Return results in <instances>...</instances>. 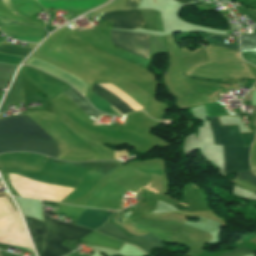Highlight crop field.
<instances>
[{
	"label": "crop field",
	"instance_id": "crop-field-1",
	"mask_svg": "<svg viewBox=\"0 0 256 256\" xmlns=\"http://www.w3.org/2000/svg\"><path fill=\"white\" fill-rule=\"evenodd\" d=\"M0 135L25 136L55 142L43 130L21 114L0 119ZM10 136L0 137V153L32 151L53 157L59 155L58 146L55 143Z\"/></svg>",
	"mask_w": 256,
	"mask_h": 256
},
{
	"label": "crop field",
	"instance_id": "crop-field-2",
	"mask_svg": "<svg viewBox=\"0 0 256 256\" xmlns=\"http://www.w3.org/2000/svg\"><path fill=\"white\" fill-rule=\"evenodd\" d=\"M44 218L45 223L24 217L38 256H63L71 252L59 245L64 238L78 239L93 232L76 225L52 220L45 213Z\"/></svg>",
	"mask_w": 256,
	"mask_h": 256
},
{
	"label": "crop field",
	"instance_id": "crop-field-3",
	"mask_svg": "<svg viewBox=\"0 0 256 256\" xmlns=\"http://www.w3.org/2000/svg\"><path fill=\"white\" fill-rule=\"evenodd\" d=\"M208 118L210 120L213 135H214V143L223 145L225 174L235 172V169H236V172L250 169V164H249L250 146H243L242 139L240 137L237 126H229L233 156H234V162H235V169H234V162H233L228 126H221L216 116H211Z\"/></svg>",
	"mask_w": 256,
	"mask_h": 256
},
{
	"label": "crop field",
	"instance_id": "crop-field-4",
	"mask_svg": "<svg viewBox=\"0 0 256 256\" xmlns=\"http://www.w3.org/2000/svg\"><path fill=\"white\" fill-rule=\"evenodd\" d=\"M0 243L32 248L18 211L5 196L0 197Z\"/></svg>",
	"mask_w": 256,
	"mask_h": 256
},
{
	"label": "crop field",
	"instance_id": "crop-field-5",
	"mask_svg": "<svg viewBox=\"0 0 256 256\" xmlns=\"http://www.w3.org/2000/svg\"><path fill=\"white\" fill-rule=\"evenodd\" d=\"M149 38L150 36L148 35L111 30L112 42L128 52L138 54L147 59L149 55Z\"/></svg>",
	"mask_w": 256,
	"mask_h": 256
},
{
	"label": "crop field",
	"instance_id": "crop-field-6",
	"mask_svg": "<svg viewBox=\"0 0 256 256\" xmlns=\"http://www.w3.org/2000/svg\"><path fill=\"white\" fill-rule=\"evenodd\" d=\"M102 227V226H101ZM97 231L115 239L125 241L130 244H134L149 254V251L155 247H164L157 236L152 233L139 237L130 238L126 236L121 230L114 227L112 224L106 222V224Z\"/></svg>",
	"mask_w": 256,
	"mask_h": 256
},
{
	"label": "crop field",
	"instance_id": "crop-field-7",
	"mask_svg": "<svg viewBox=\"0 0 256 256\" xmlns=\"http://www.w3.org/2000/svg\"><path fill=\"white\" fill-rule=\"evenodd\" d=\"M99 18L114 21L111 27L119 29H136L145 24L139 10L108 12Z\"/></svg>",
	"mask_w": 256,
	"mask_h": 256
},
{
	"label": "crop field",
	"instance_id": "crop-field-8",
	"mask_svg": "<svg viewBox=\"0 0 256 256\" xmlns=\"http://www.w3.org/2000/svg\"><path fill=\"white\" fill-rule=\"evenodd\" d=\"M26 65H30L36 68H39L63 81H66L70 83L77 91H79L82 95H84V92L86 90L87 85L83 83L79 78L55 67L52 65H49L35 57H31Z\"/></svg>",
	"mask_w": 256,
	"mask_h": 256
},
{
	"label": "crop field",
	"instance_id": "crop-field-9",
	"mask_svg": "<svg viewBox=\"0 0 256 256\" xmlns=\"http://www.w3.org/2000/svg\"><path fill=\"white\" fill-rule=\"evenodd\" d=\"M30 51V48L8 46L4 44L0 45V54L24 58ZM16 68L17 67L15 66L0 64V87H5L7 81Z\"/></svg>",
	"mask_w": 256,
	"mask_h": 256
},
{
	"label": "crop field",
	"instance_id": "crop-field-10",
	"mask_svg": "<svg viewBox=\"0 0 256 256\" xmlns=\"http://www.w3.org/2000/svg\"><path fill=\"white\" fill-rule=\"evenodd\" d=\"M107 0H38L44 8L92 9Z\"/></svg>",
	"mask_w": 256,
	"mask_h": 256
},
{
	"label": "crop field",
	"instance_id": "crop-field-11",
	"mask_svg": "<svg viewBox=\"0 0 256 256\" xmlns=\"http://www.w3.org/2000/svg\"><path fill=\"white\" fill-rule=\"evenodd\" d=\"M112 214L113 213L110 212L84 210L76 224L95 229L103 225L108 217Z\"/></svg>",
	"mask_w": 256,
	"mask_h": 256
},
{
	"label": "crop field",
	"instance_id": "crop-field-12",
	"mask_svg": "<svg viewBox=\"0 0 256 256\" xmlns=\"http://www.w3.org/2000/svg\"><path fill=\"white\" fill-rule=\"evenodd\" d=\"M91 91H93L94 93H96L97 95H99L100 97H102L103 99H105L110 104L117 107L119 110H121L124 113L130 112V111H136L134 108H132L131 106H129L128 104H126L125 102H123L122 100H120L115 95H113L112 93H110L109 91H107L106 89H104L103 87H101L98 84H93ZM115 107H113V108H115ZM118 109H116V110H118ZM121 111H119V112L122 113ZM124 113H122V114H124Z\"/></svg>",
	"mask_w": 256,
	"mask_h": 256
},
{
	"label": "crop field",
	"instance_id": "crop-field-13",
	"mask_svg": "<svg viewBox=\"0 0 256 256\" xmlns=\"http://www.w3.org/2000/svg\"><path fill=\"white\" fill-rule=\"evenodd\" d=\"M23 92L21 88V81L20 76L17 74L12 86L10 87L1 107H0V113L8 111L7 105L23 102Z\"/></svg>",
	"mask_w": 256,
	"mask_h": 256
},
{
	"label": "crop field",
	"instance_id": "crop-field-14",
	"mask_svg": "<svg viewBox=\"0 0 256 256\" xmlns=\"http://www.w3.org/2000/svg\"><path fill=\"white\" fill-rule=\"evenodd\" d=\"M84 243L90 246H101L118 250L120 246L123 244L114 239H110L106 236H103L99 233L93 232L88 236L81 239Z\"/></svg>",
	"mask_w": 256,
	"mask_h": 256
},
{
	"label": "crop field",
	"instance_id": "crop-field-15",
	"mask_svg": "<svg viewBox=\"0 0 256 256\" xmlns=\"http://www.w3.org/2000/svg\"><path fill=\"white\" fill-rule=\"evenodd\" d=\"M63 93L67 95L74 103H76L81 108V110L86 114L93 116L95 118H97L102 114L100 112H97L95 109H93L90 106V104L72 88Z\"/></svg>",
	"mask_w": 256,
	"mask_h": 256
},
{
	"label": "crop field",
	"instance_id": "crop-field-16",
	"mask_svg": "<svg viewBox=\"0 0 256 256\" xmlns=\"http://www.w3.org/2000/svg\"><path fill=\"white\" fill-rule=\"evenodd\" d=\"M204 40L240 57L239 45L225 44L223 36L213 35Z\"/></svg>",
	"mask_w": 256,
	"mask_h": 256
},
{
	"label": "crop field",
	"instance_id": "crop-field-17",
	"mask_svg": "<svg viewBox=\"0 0 256 256\" xmlns=\"http://www.w3.org/2000/svg\"><path fill=\"white\" fill-rule=\"evenodd\" d=\"M242 51L256 49V33L241 35Z\"/></svg>",
	"mask_w": 256,
	"mask_h": 256
},
{
	"label": "crop field",
	"instance_id": "crop-field-18",
	"mask_svg": "<svg viewBox=\"0 0 256 256\" xmlns=\"http://www.w3.org/2000/svg\"><path fill=\"white\" fill-rule=\"evenodd\" d=\"M3 26H29V27H36V28L38 27L36 25L0 17V27H3Z\"/></svg>",
	"mask_w": 256,
	"mask_h": 256
},
{
	"label": "crop field",
	"instance_id": "crop-field-19",
	"mask_svg": "<svg viewBox=\"0 0 256 256\" xmlns=\"http://www.w3.org/2000/svg\"><path fill=\"white\" fill-rule=\"evenodd\" d=\"M239 175L240 178L237 177V179L256 186V176L253 175L250 171L241 172Z\"/></svg>",
	"mask_w": 256,
	"mask_h": 256
},
{
	"label": "crop field",
	"instance_id": "crop-field-20",
	"mask_svg": "<svg viewBox=\"0 0 256 256\" xmlns=\"http://www.w3.org/2000/svg\"><path fill=\"white\" fill-rule=\"evenodd\" d=\"M180 3H186L188 2L187 0H176ZM190 2H193V1H198V0H189ZM140 0H127L123 10H126V9H133V8H136L139 4ZM122 10V9H121Z\"/></svg>",
	"mask_w": 256,
	"mask_h": 256
},
{
	"label": "crop field",
	"instance_id": "crop-field-21",
	"mask_svg": "<svg viewBox=\"0 0 256 256\" xmlns=\"http://www.w3.org/2000/svg\"><path fill=\"white\" fill-rule=\"evenodd\" d=\"M249 253H252V251L249 249H245V248H239V249H235L234 251H232L230 253L223 254L221 256H244Z\"/></svg>",
	"mask_w": 256,
	"mask_h": 256
},
{
	"label": "crop field",
	"instance_id": "crop-field-22",
	"mask_svg": "<svg viewBox=\"0 0 256 256\" xmlns=\"http://www.w3.org/2000/svg\"><path fill=\"white\" fill-rule=\"evenodd\" d=\"M16 39L21 40V41L38 43L42 38L28 37V36H17Z\"/></svg>",
	"mask_w": 256,
	"mask_h": 256
},
{
	"label": "crop field",
	"instance_id": "crop-field-23",
	"mask_svg": "<svg viewBox=\"0 0 256 256\" xmlns=\"http://www.w3.org/2000/svg\"><path fill=\"white\" fill-rule=\"evenodd\" d=\"M242 136H243L245 145H250L251 141L254 137V134L253 133H247V134H242Z\"/></svg>",
	"mask_w": 256,
	"mask_h": 256
},
{
	"label": "crop field",
	"instance_id": "crop-field-24",
	"mask_svg": "<svg viewBox=\"0 0 256 256\" xmlns=\"http://www.w3.org/2000/svg\"><path fill=\"white\" fill-rule=\"evenodd\" d=\"M216 1L221 2V3L225 2V0H216Z\"/></svg>",
	"mask_w": 256,
	"mask_h": 256
},
{
	"label": "crop field",
	"instance_id": "crop-field-25",
	"mask_svg": "<svg viewBox=\"0 0 256 256\" xmlns=\"http://www.w3.org/2000/svg\"><path fill=\"white\" fill-rule=\"evenodd\" d=\"M147 188H149V183L147 184V186H146Z\"/></svg>",
	"mask_w": 256,
	"mask_h": 256
},
{
	"label": "crop field",
	"instance_id": "crop-field-26",
	"mask_svg": "<svg viewBox=\"0 0 256 256\" xmlns=\"http://www.w3.org/2000/svg\"><path fill=\"white\" fill-rule=\"evenodd\" d=\"M67 256H71V255H67Z\"/></svg>",
	"mask_w": 256,
	"mask_h": 256
}]
</instances>
